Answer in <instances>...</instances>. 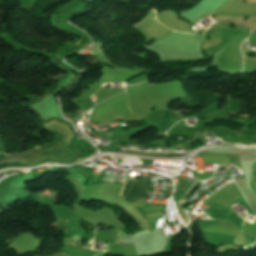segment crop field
I'll return each mask as SVG.
<instances>
[{
	"label": "crop field",
	"instance_id": "5",
	"mask_svg": "<svg viewBox=\"0 0 256 256\" xmlns=\"http://www.w3.org/2000/svg\"><path fill=\"white\" fill-rule=\"evenodd\" d=\"M131 109V108H130Z\"/></svg>",
	"mask_w": 256,
	"mask_h": 256
},
{
	"label": "crop field",
	"instance_id": "4",
	"mask_svg": "<svg viewBox=\"0 0 256 256\" xmlns=\"http://www.w3.org/2000/svg\"><path fill=\"white\" fill-rule=\"evenodd\" d=\"M125 181V180H124Z\"/></svg>",
	"mask_w": 256,
	"mask_h": 256
},
{
	"label": "crop field",
	"instance_id": "2",
	"mask_svg": "<svg viewBox=\"0 0 256 256\" xmlns=\"http://www.w3.org/2000/svg\"><path fill=\"white\" fill-rule=\"evenodd\" d=\"M126 182H127V181H126ZM126 182H125V184H124V186H123V188H122V190H121V192H120V194H119V195H121V194H122V192H123V190H124V188H125ZM131 183H132V181H128V182H127V185H126L125 191H124V193H123V195H122V196H125V195H126L127 191L129 190V188H130V186H131Z\"/></svg>",
	"mask_w": 256,
	"mask_h": 256
},
{
	"label": "crop field",
	"instance_id": "1",
	"mask_svg": "<svg viewBox=\"0 0 256 256\" xmlns=\"http://www.w3.org/2000/svg\"><path fill=\"white\" fill-rule=\"evenodd\" d=\"M149 183L150 181L148 180H138L134 182L126 201L132 204L139 199L145 198L149 188Z\"/></svg>",
	"mask_w": 256,
	"mask_h": 256
},
{
	"label": "crop field",
	"instance_id": "3",
	"mask_svg": "<svg viewBox=\"0 0 256 256\" xmlns=\"http://www.w3.org/2000/svg\"><path fill=\"white\" fill-rule=\"evenodd\" d=\"M252 171H253V175H255V174H256V163L253 164V166H252Z\"/></svg>",
	"mask_w": 256,
	"mask_h": 256
}]
</instances>
